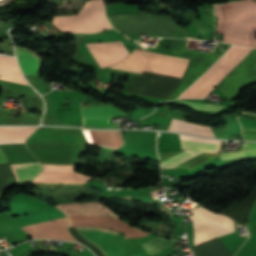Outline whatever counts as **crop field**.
<instances>
[{
    "mask_svg": "<svg viewBox=\"0 0 256 256\" xmlns=\"http://www.w3.org/2000/svg\"><path fill=\"white\" fill-rule=\"evenodd\" d=\"M217 33L256 30V0H240L216 6ZM224 42L256 47V31L223 34Z\"/></svg>",
    "mask_w": 256,
    "mask_h": 256,
    "instance_id": "8a807250",
    "label": "crop field"
},
{
    "mask_svg": "<svg viewBox=\"0 0 256 256\" xmlns=\"http://www.w3.org/2000/svg\"><path fill=\"white\" fill-rule=\"evenodd\" d=\"M69 219V227L99 226L111 228L125 234V238L144 237L149 233L123 224L114 212L99 202L70 203L56 205Z\"/></svg>",
    "mask_w": 256,
    "mask_h": 256,
    "instance_id": "ac0d7876",
    "label": "crop field"
},
{
    "mask_svg": "<svg viewBox=\"0 0 256 256\" xmlns=\"http://www.w3.org/2000/svg\"><path fill=\"white\" fill-rule=\"evenodd\" d=\"M189 60L170 57L154 52L134 50L124 61L115 66L131 68L147 72H155L168 76L181 78ZM111 66L119 70L141 74V71Z\"/></svg>",
    "mask_w": 256,
    "mask_h": 256,
    "instance_id": "34b2d1b8",
    "label": "crop field"
},
{
    "mask_svg": "<svg viewBox=\"0 0 256 256\" xmlns=\"http://www.w3.org/2000/svg\"><path fill=\"white\" fill-rule=\"evenodd\" d=\"M253 49L234 45L216 64H214L180 98H205L206 95ZM224 65L222 68H220Z\"/></svg>",
    "mask_w": 256,
    "mask_h": 256,
    "instance_id": "412701ff",
    "label": "crop field"
},
{
    "mask_svg": "<svg viewBox=\"0 0 256 256\" xmlns=\"http://www.w3.org/2000/svg\"><path fill=\"white\" fill-rule=\"evenodd\" d=\"M113 28L123 34L149 33L156 36L172 37L174 19L152 14H121L107 16Z\"/></svg>",
    "mask_w": 256,
    "mask_h": 256,
    "instance_id": "f4fd0767",
    "label": "crop field"
},
{
    "mask_svg": "<svg viewBox=\"0 0 256 256\" xmlns=\"http://www.w3.org/2000/svg\"><path fill=\"white\" fill-rule=\"evenodd\" d=\"M52 23L63 32L94 33L96 31L111 28L105 17L104 7L101 0L88 1L78 15L55 16L52 19Z\"/></svg>",
    "mask_w": 256,
    "mask_h": 256,
    "instance_id": "dd49c442",
    "label": "crop field"
},
{
    "mask_svg": "<svg viewBox=\"0 0 256 256\" xmlns=\"http://www.w3.org/2000/svg\"><path fill=\"white\" fill-rule=\"evenodd\" d=\"M194 228V245L207 242L221 235L234 232V221L221 215L212 213L202 207L190 210Z\"/></svg>",
    "mask_w": 256,
    "mask_h": 256,
    "instance_id": "e52e79f7",
    "label": "crop field"
},
{
    "mask_svg": "<svg viewBox=\"0 0 256 256\" xmlns=\"http://www.w3.org/2000/svg\"><path fill=\"white\" fill-rule=\"evenodd\" d=\"M179 137H180V143H181L182 150L219 153L218 152L219 143L223 144V141L208 140V139H202V138H198V137H190V136H182V135H179ZM180 152H182V151L159 153L160 160H161V162H163ZM200 152L184 151V152L174 156L173 158L161 163L162 168L175 167V166L201 154Z\"/></svg>",
    "mask_w": 256,
    "mask_h": 256,
    "instance_id": "d8731c3e",
    "label": "crop field"
},
{
    "mask_svg": "<svg viewBox=\"0 0 256 256\" xmlns=\"http://www.w3.org/2000/svg\"><path fill=\"white\" fill-rule=\"evenodd\" d=\"M36 127H0V141H24ZM15 180L35 177L43 166L38 162H28L11 165Z\"/></svg>",
    "mask_w": 256,
    "mask_h": 256,
    "instance_id": "5a996713",
    "label": "crop field"
},
{
    "mask_svg": "<svg viewBox=\"0 0 256 256\" xmlns=\"http://www.w3.org/2000/svg\"><path fill=\"white\" fill-rule=\"evenodd\" d=\"M75 231L96 247L104 256H118L114 244L118 233L102 228L81 227Z\"/></svg>",
    "mask_w": 256,
    "mask_h": 256,
    "instance_id": "3316defc",
    "label": "crop field"
},
{
    "mask_svg": "<svg viewBox=\"0 0 256 256\" xmlns=\"http://www.w3.org/2000/svg\"><path fill=\"white\" fill-rule=\"evenodd\" d=\"M73 166L44 165V170L33 179V182L83 184L91 178L77 174Z\"/></svg>",
    "mask_w": 256,
    "mask_h": 256,
    "instance_id": "28ad6ade",
    "label": "crop field"
},
{
    "mask_svg": "<svg viewBox=\"0 0 256 256\" xmlns=\"http://www.w3.org/2000/svg\"><path fill=\"white\" fill-rule=\"evenodd\" d=\"M101 68L115 64L129 53L122 42L86 44Z\"/></svg>",
    "mask_w": 256,
    "mask_h": 256,
    "instance_id": "d1516ede",
    "label": "crop field"
},
{
    "mask_svg": "<svg viewBox=\"0 0 256 256\" xmlns=\"http://www.w3.org/2000/svg\"><path fill=\"white\" fill-rule=\"evenodd\" d=\"M65 225H68V220L66 218H60V219H56V220H52V221H48V222H44V223H39V224L23 227L22 229L26 233H29V232H34V231H39V230H44V229L65 226ZM29 235L32 236V239H34V238H56V239H63V240H69V241L76 242L70 236V234L67 230V226L50 229V230L34 232V233H29Z\"/></svg>",
    "mask_w": 256,
    "mask_h": 256,
    "instance_id": "22f410ed",
    "label": "crop field"
},
{
    "mask_svg": "<svg viewBox=\"0 0 256 256\" xmlns=\"http://www.w3.org/2000/svg\"><path fill=\"white\" fill-rule=\"evenodd\" d=\"M83 117H96V116H119L125 115L123 112L112 106L102 107H82ZM109 117H97V118H83L84 124L90 126H106L114 127L115 124L107 122Z\"/></svg>",
    "mask_w": 256,
    "mask_h": 256,
    "instance_id": "cbeb9de0",
    "label": "crop field"
},
{
    "mask_svg": "<svg viewBox=\"0 0 256 256\" xmlns=\"http://www.w3.org/2000/svg\"><path fill=\"white\" fill-rule=\"evenodd\" d=\"M0 79L28 85L23 79L13 57L0 56Z\"/></svg>",
    "mask_w": 256,
    "mask_h": 256,
    "instance_id": "5142ce71",
    "label": "crop field"
},
{
    "mask_svg": "<svg viewBox=\"0 0 256 256\" xmlns=\"http://www.w3.org/2000/svg\"><path fill=\"white\" fill-rule=\"evenodd\" d=\"M169 130L176 131V132H182V133H190V134H194V135L214 137L211 130L207 127L194 125L189 122L174 119V118L170 125Z\"/></svg>",
    "mask_w": 256,
    "mask_h": 256,
    "instance_id": "d9b57169",
    "label": "crop field"
},
{
    "mask_svg": "<svg viewBox=\"0 0 256 256\" xmlns=\"http://www.w3.org/2000/svg\"><path fill=\"white\" fill-rule=\"evenodd\" d=\"M15 50L17 59L24 74L36 76L40 65V60L26 51L17 48H15Z\"/></svg>",
    "mask_w": 256,
    "mask_h": 256,
    "instance_id": "733c2abd",
    "label": "crop field"
},
{
    "mask_svg": "<svg viewBox=\"0 0 256 256\" xmlns=\"http://www.w3.org/2000/svg\"><path fill=\"white\" fill-rule=\"evenodd\" d=\"M256 158V143H242V151L221 153L220 161Z\"/></svg>",
    "mask_w": 256,
    "mask_h": 256,
    "instance_id": "4a817a6b",
    "label": "crop field"
},
{
    "mask_svg": "<svg viewBox=\"0 0 256 256\" xmlns=\"http://www.w3.org/2000/svg\"><path fill=\"white\" fill-rule=\"evenodd\" d=\"M175 243L177 242L173 240L168 241V240H164L156 237L141 245L144 247V249L148 252L149 255H152L174 245Z\"/></svg>",
    "mask_w": 256,
    "mask_h": 256,
    "instance_id": "bc2a9ffb",
    "label": "crop field"
},
{
    "mask_svg": "<svg viewBox=\"0 0 256 256\" xmlns=\"http://www.w3.org/2000/svg\"><path fill=\"white\" fill-rule=\"evenodd\" d=\"M179 104L187 105L189 107L196 108V109L210 110V111H218L222 107H224V106H221V105L198 103V102H186V101H180Z\"/></svg>",
    "mask_w": 256,
    "mask_h": 256,
    "instance_id": "214f88e0",
    "label": "crop field"
},
{
    "mask_svg": "<svg viewBox=\"0 0 256 256\" xmlns=\"http://www.w3.org/2000/svg\"><path fill=\"white\" fill-rule=\"evenodd\" d=\"M5 162H8V160L4 155V153L0 150V163H5Z\"/></svg>",
    "mask_w": 256,
    "mask_h": 256,
    "instance_id": "92a150f3",
    "label": "crop field"
},
{
    "mask_svg": "<svg viewBox=\"0 0 256 256\" xmlns=\"http://www.w3.org/2000/svg\"><path fill=\"white\" fill-rule=\"evenodd\" d=\"M211 29V28H210ZM212 31V30H211Z\"/></svg>",
    "mask_w": 256,
    "mask_h": 256,
    "instance_id": "dafd665d",
    "label": "crop field"
}]
</instances>
